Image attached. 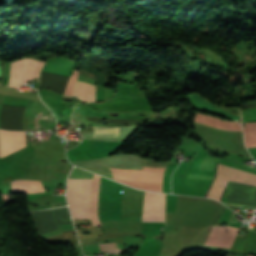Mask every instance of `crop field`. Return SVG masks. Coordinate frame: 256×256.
<instances>
[{
  "label": "crop field",
  "instance_id": "crop-field-1",
  "mask_svg": "<svg viewBox=\"0 0 256 256\" xmlns=\"http://www.w3.org/2000/svg\"><path fill=\"white\" fill-rule=\"evenodd\" d=\"M93 179H68L67 198L73 218L90 219Z\"/></svg>",
  "mask_w": 256,
  "mask_h": 256
},
{
  "label": "crop field",
  "instance_id": "crop-field-2",
  "mask_svg": "<svg viewBox=\"0 0 256 256\" xmlns=\"http://www.w3.org/2000/svg\"><path fill=\"white\" fill-rule=\"evenodd\" d=\"M44 62L33 59H21L11 62L10 66V85H20L34 78L39 77Z\"/></svg>",
  "mask_w": 256,
  "mask_h": 256
},
{
  "label": "crop field",
  "instance_id": "crop-field-3",
  "mask_svg": "<svg viewBox=\"0 0 256 256\" xmlns=\"http://www.w3.org/2000/svg\"><path fill=\"white\" fill-rule=\"evenodd\" d=\"M110 169L114 179L148 183H162L166 168L144 167L143 170Z\"/></svg>",
  "mask_w": 256,
  "mask_h": 256
},
{
  "label": "crop field",
  "instance_id": "crop-field-4",
  "mask_svg": "<svg viewBox=\"0 0 256 256\" xmlns=\"http://www.w3.org/2000/svg\"><path fill=\"white\" fill-rule=\"evenodd\" d=\"M142 221H164V194L145 191Z\"/></svg>",
  "mask_w": 256,
  "mask_h": 256
},
{
  "label": "crop field",
  "instance_id": "crop-field-5",
  "mask_svg": "<svg viewBox=\"0 0 256 256\" xmlns=\"http://www.w3.org/2000/svg\"><path fill=\"white\" fill-rule=\"evenodd\" d=\"M143 195V191L124 186L122 218L141 217Z\"/></svg>",
  "mask_w": 256,
  "mask_h": 256
},
{
  "label": "crop field",
  "instance_id": "crop-field-6",
  "mask_svg": "<svg viewBox=\"0 0 256 256\" xmlns=\"http://www.w3.org/2000/svg\"><path fill=\"white\" fill-rule=\"evenodd\" d=\"M238 230L229 226H213L204 245L230 248Z\"/></svg>",
  "mask_w": 256,
  "mask_h": 256
},
{
  "label": "crop field",
  "instance_id": "crop-field-7",
  "mask_svg": "<svg viewBox=\"0 0 256 256\" xmlns=\"http://www.w3.org/2000/svg\"><path fill=\"white\" fill-rule=\"evenodd\" d=\"M25 107L3 105L0 127L6 130H24L22 119Z\"/></svg>",
  "mask_w": 256,
  "mask_h": 256
},
{
  "label": "crop field",
  "instance_id": "crop-field-8",
  "mask_svg": "<svg viewBox=\"0 0 256 256\" xmlns=\"http://www.w3.org/2000/svg\"><path fill=\"white\" fill-rule=\"evenodd\" d=\"M194 121L198 123L214 126L217 128H221L224 130L242 131L241 123L229 122V121L217 119L205 114L197 113Z\"/></svg>",
  "mask_w": 256,
  "mask_h": 256
},
{
  "label": "crop field",
  "instance_id": "crop-field-9",
  "mask_svg": "<svg viewBox=\"0 0 256 256\" xmlns=\"http://www.w3.org/2000/svg\"><path fill=\"white\" fill-rule=\"evenodd\" d=\"M68 79V76L42 72L41 87L50 88L55 93L63 95Z\"/></svg>",
  "mask_w": 256,
  "mask_h": 256
},
{
  "label": "crop field",
  "instance_id": "crop-field-10",
  "mask_svg": "<svg viewBox=\"0 0 256 256\" xmlns=\"http://www.w3.org/2000/svg\"><path fill=\"white\" fill-rule=\"evenodd\" d=\"M13 193H37L45 191L40 181L15 180L11 182Z\"/></svg>",
  "mask_w": 256,
  "mask_h": 256
},
{
  "label": "crop field",
  "instance_id": "crop-field-11",
  "mask_svg": "<svg viewBox=\"0 0 256 256\" xmlns=\"http://www.w3.org/2000/svg\"><path fill=\"white\" fill-rule=\"evenodd\" d=\"M81 82H76L73 95L78 97L82 101L95 102L96 87Z\"/></svg>",
  "mask_w": 256,
  "mask_h": 256
},
{
  "label": "crop field",
  "instance_id": "crop-field-12",
  "mask_svg": "<svg viewBox=\"0 0 256 256\" xmlns=\"http://www.w3.org/2000/svg\"><path fill=\"white\" fill-rule=\"evenodd\" d=\"M40 121H44V128H40ZM25 126L26 130H31V127L38 128V130H48L55 128V121L25 117ZM32 130L37 129L32 128Z\"/></svg>",
  "mask_w": 256,
  "mask_h": 256
},
{
  "label": "crop field",
  "instance_id": "crop-field-13",
  "mask_svg": "<svg viewBox=\"0 0 256 256\" xmlns=\"http://www.w3.org/2000/svg\"><path fill=\"white\" fill-rule=\"evenodd\" d=\"M247 131H244L246 147L256 146V122L246 123Z\"/></svg>",
  "mask_w": 256,
  "mask_h": 256
},
{
  "label": "crop field",
  "instance_id": "crop-field-14",
  "mask_svg": "<svg viewBox=\"0 0 256 256\" xmlns=\"http://www.w3.org/2000/svg\"><path fill=\"white\" fill-rule=\"evenodd\" d=\"M93 137H117L118 127H93Z\"/></svg>",
  "mask_w": 256,
  "mask_h": 256
},
{
  "label": "crop field",
  "instance_id": "crop-field-15",
  "mask_svg": "<svg viewBox=\"0 0 256 256\" xmlns=\"http://www.w3.org/2000/svg\"><path fill=\"white\" fill-rule=\"evenodd\" d=\"M120 182H123L125 184H128L130 186H133L139 189L162 192V184H144V183H135V182H127V181H120Z\"/></svg>",
  "mask_w": 256,
  "mask_h": 256
},
{
  "label": "crop field",
  "instance_id": "crop-field-16",
  "mask_svg": "<svg viewBox=\"0 0 256 256\" xmlns=\"http://www.w3.org/2000/svg\"><path fill=\"white\" fill-rule=\"evenodd\" d=\"M78 73L79 72H76V71L73 72L71 78L68 81V84H67L66 91H65L64 95H72V91L74 89Z\"/></svg>",
  "mask_w": 256,
  "mask_h": 256
},
{
  "label": "crop field",
  "instance_id": "crop-field-17",
  "mask_svg": "<svg viewBox=\"0 0 256 256\" xmlns=\"http://www.w3.org/2000/svg\"><path fill=\"white\" fill-rule=\"evenodd\" d=\"M101 249L105 248H115L117 247L116 243H107V244H100Z\"/></svg>",
  "mask_w": 256,
  "mask_h": 256
},
{
  "label": "crop field",
  "instance_id": "crop-field-18",
  "mask_svg": "<svg viewBox=\"0 0 256 256\" xmlns=\"http://www.w3.org/2000/svg\"><path fill=\"white\" fill-rule=\"evenodd\" d=\"M0 157H1V144H0Z\"/></svg>",
  "mask_w": 256,
  "mask_h": 256
},
{
  "label": "crop field",
  "instance_id": "crop-field-19",
  "mask_svg": "<svg viewBox=\"0 0 256 256\" xmlns=\"http://www.w3.org/2000/svg\"><path fill=\"white\" fill-rule=\"evenodd\" d=\"M248 256H253V255H248Z\"/></svg>",
  "mask_w": 256,
  "mask_h": 256
},
{
  "label": "crop field",
  "instance_id": "crop-field-20",
  "mask_svg": "<svg viewBox=\"0 0 256 256\" xmlns=\"http://www.w3.org/2000/svg\"><path fill=\"white\" fill-rule=\"evenodd\" d=\"M233 213H234V212H233ZM233 213H232V215H233ZM232 215H231V216H232ZM230 218H231V217H230Z\"/></svg>",
  "mask_w": 256,
  "mask_h": 256
},
{
  "label": "crop field",
  "instance_id": "crop-field-21",
  "mask_svg": "<svg viewBox=\"0 0 256 256\" xmlns=\"http://www.w3.org/2000/svg\"><path fill=\"white\" fill-rule=\"evenodd\" d=\"M0 74H1V70H0Z\"/></svg>",
  "mask_w": 256,
  "mask_h": 256
}]
</instances>
